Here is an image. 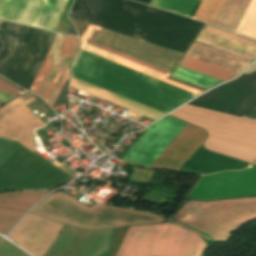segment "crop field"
<instances>
[{
  "instance_id": "obj_1",
  "label": "crop field",
  "mask_w": 256,
  "mask_h": 256,
  "mask_svg": "<svg viewBox=\"0 0 256 256\" xmlns=\"http://www.w3.org/2000/svg\"><path fill=\"white\" fill-rule=\"evenodd\" d=\"M36 98L24 94L0 110V137L15 140L34 150L31 131L45 124L24 105ZM0 138V166L22 145ZM21 147L0 167V190L53 189L62 185L71 175L61 170L35 151Z\"/></svg>"
},
{
  "instance_id": "obj_2",
  "label": "crop field",
  "mask_w": 256,
  "mask_h": 256,
  "mask_svg": "<svg viewBox=\"0 0 256 256\" xmlns=\"http://www.w3.org/2000/svg\"><path fill=\"white\" fill-rule=\"evenodd\" d=\"M71 76L164 113L196 95L81 49Z\"/></svg>"
},
{
  "instance_id": "obj_3",
  "label": "crop field",
  "mask_w": 256,
  "mask_h": 256,
  "mask_svg": "<svg viewBox=\"0 0 256 256\" xmlns=\"http://www.w3.org/2000/svg\"><path fill=\"white\" fill-rule=\"evenodd\" d=\"M129 227L114 230L115 256ZM205 242L196 233L171 222L130 227L116 256H199Z\"/></svg>"
},
{
  "instance_id": "obj_4",
  "label": "crop field",
  "mask_w": 256,
  "mask_h": 256,
  "mask_svg": "<svg viewBox=\"0 0 256 256\" xmlns=\"http://www.w3.org/2000/svg\"><path fill=\"white\" fill-rule=\"evenodd\" d=\"M56 33L3 21L0 75L29 90Z\"/></svg>"
},
{
  "instance_id": "obj_5",
  "label": "crop field",
  "mask_w": 256,
  "mask_h": 256,
  "mask_svg": "<svg viewBox=\"0 0 256 256\" xmlns=\"http://www.w3.org/2000/svg\"><path fill=\"white\" fill-rule=\"evenodd\" d=\"M32 212L88 230L166 221L154 214L101 204L87 208L59 191L36 206Z\"/></svg>"
},
{
  "instance_id": "obj_6",
  "label": "crop field",
  "mask_w": 256,
  "mask_h": 256,
  "mask_svg": "<svg viewBox=\"0 0 256 256\" xmlns=\"http://www.w3.org/2000/svg\"><path fill=\"white\" fill-rule=\"evenodd\" d=\"M255 218L256 198L188 201L173 216V219L219 240L228 239L237 227Z\"/></svg>"
},
{
  "instance_id": "obj_7",
  "label": "crop field",
  "mask_w": 256,
  "mask_h": 256,
  "mask_svg": "<svg viewBox=\"0 0 256 256\" xmlns=\"http://www.w3.org/2000/svg\"><path fill=\"white\" fill-rule=\"evenodd\" d=\"M36 0H0V18L25 24ZM68 0H37L26 24L54 31ZM69 0L55 31L66 32Z\"/></svg>"
},
{
  "instance_id": "obj_8",
  "label": "crop field",
  "mask_w": 256,
  "mask_h": 256,
  "mask_svg": "<svg viewBox=\"0 0 256 256\" xmlns=\"http://www.w3.org/2000/svg\"><path fill=\"white\" fill-rule=\"evenodd\" d=\"M62 34H56L52 45L47 53V56L42 64L45 76V79H49L55 76H59L62 74H65L67 72V74L59 76V77H55L49 80H45L42 79L44 73L42 70V67L30 89V92H32L33 94L41 97L43 100H45L51 107L54 104L60 90L61 87L68 75V70H69V66L70 63L72 61L73 55L75 53V50L78 46V41L77 38L74 37H69V36H64ZM63 38V40H62ZM62 40V42H61ZM61 42V44H60ZM60 44V46H59ZM59 46V48H58ZM58 48V51L56 53V50ZM56 53V55H55ZM55 55V57H54ZM54 57V59H53ZM53 59V61H52ZM52 61V63H51ZM51 63V65H50ZM56 67V68H60V69H64L66 70H59V69H55V68H51L49 67Z\"/></svg>"
},
{
  "instance_id": "obj_9",
  "label": "crop field",
  "mask_w": 256,
  "mask_h": 256,
  "mask_svg": "<svg viewBox=\"0 0 256 256\" xmlns=\"http://www.w3.org/2000/svg\"><path fill=\"white\" fill-rule=\"evenodd\" d=\"M245 195H256V168L251 166L241 172L203 176L188 197L217 199Z\"/></svg>"
},
{
  "instance_id": "obj_10",
  "label": "crop field",
  "mask_w": 256,
  "mask_h": 256,
  "mask_svg": "<svg viewBox=\"0 0 256 256\" xmlns=\"http://www.w3.org/2000/svg\"><path fill=\"white\" fill-rule=\"evenodd\" d=\"M185 125L170 116L158 121L137 140L122 161L150 167Z\"/></svg>"
},
{
  "instance_id": "obj_11",
  "label": "crop field",
  "mask_w": 256,
  "mask_h": 256,
  "mask_svg": "<svg viewBox=\"0 0 256 256\" xmlns=\"http://www.w3.org/2000/svg\"><path fill=\"white\" fill-rule=\"evenodd\" d=\"M108 30V29H107ZM102 29L96 41L111 45L145 62L171 71L179 62L183 53L143 42L121 34Z\"/></svg>"
},
{
  "instance_id": "obj_12",
  "label": "crop field",
  "mask_w": 256,
  "mask_h": 256,
  "mask_svg": "<svg viewBox=\"0 0 256 256\" xmlns=\"http://www.w3.org/2000/svg\"><path fill=\"white\" fill-rule=\"evenodd\" d=\"M62 227L63 224L29 214L12 231L9 238L33 256H44Z\"/></svg>"
},
{
  "instance_id": "obj_13",
  "label": "crop field",
  "mask_w": 256,
  "mask_h": 256,
  "mask_svg": "<svg viewBox=\"0 0 256 256\" xmlns=\"http://www.w3.org/2000/svg\"><path fill=\"white\" fill-rule=\"evenodd\" d=\"M100 31H101V28L89 24L82 38L80 37L81 38L80 48L88 52L94 53L96 55H99L101 57H104L106 59L117 62L119 64H122L124 66L135 69L137 71H140L142 73H145L147 75L153 76L165 82L171 83L183 89L189 90L196 94H199L202 92V91L195 90L191 87L167 80L166 78L168 77L170 72H167L157 67H154L152 65H149L141 60L135 59L127 54H123L106 45L93 42Z\"/></svg>"
},
{
  "instance_id": "obj_14",
  "label": "crop field",
  "mask_w": 256,
  "mask_h": 256,
  "mask_svg": "<svg viewBox=\"0 0 256 256\" xmlns=\"http://www.w3.org/2000/svg\"><path fill=\"white\" fill-rule=\"evenodd\" d=\"M206 133L187 124L151 167L178 170L205 138Z\"/></svg>"
},
{
  "instance_id": "obj_15",
  "label": "crop field",
  "mask_w": 256,
  "mask_h": 256,
  "mask_svg": "<svg viewBox=\"0 0 256 256\" xmlns=\"http://www.w3.org/2000/svg\"><path fill=\"white\" fill-rule=\"evenodd\" d=\"M198 1L199 0H152L150 6L190 17ZM203 1L204 0L199 1L191 18L194 19ZM223 2L224 0H205L195 19L212 24Z\"/></svg>"
},
{
  "instance_id": "obj_16",
  "label": "crop field",
  "mask_w": 256,
  "mask_h": 256,
  "mask_svg": "<svg viewBox=\"0 0 256 256\" xmlns=\"http://www.w3.org/2000/svg\"><path fill=\"white\" fill-rule=\"evenodd\" d=\"M186 56L239 73L250 61L193 42Z\"/></svg>"
},
{
  "instance_id": "obj_17",
  "label": "crop field",
  "mask_w": 256,
  "mask_h": 256,
  "mask_svg": "<svg viewBox=\"0 0 256 256\" xmlns=\"http://www.w3.org/2000/svg\"><path fill=\"white\" fill-rule=\"evenodd\" d=\"M195 42L252 61L256 58V48L202 30Z\"/></svg>"
},
{
  "instance_id": "obj_18",
  "label": "crop field",
  "mask_w": 256,
  "mask_h": 256,
  "mask_svg": "<svg viewBox=\"0 0 256 256\" xmlns=\"http://www.w3.org/2000/svg\"><path fill=\"white\" fill-rule=\"evenodd\" d=\"M251 0H225L213 25L235 32Z\"/></svg>"
},
{
  "instance_id": "obj_19",
  "label": "crop field",
  "mask_w": 256,
  "mask_h": 256,
  "mask_svg": "<svg viewBox=\"0 0 256 256\" xmlns=\"http://www.w3.org/2000/svg\"><path fill=\"white\" fill-rule=\"evenodd\" d=\"M48 192H10L0 194V206L27 211Z\"/></svg>"
},
{
  "instance_id": "obj_20",
  "label": "crop field",
  "mask_w": 256,
  "mask_h": 256,
  "mask_svg": "<svg viewBox=\"0 0 256 256\" xmlns=\"http://www.w3.org/2000/svg\"><path fill=\"white\" fill-rule=\"evenodd\" d=\"M179 66L225 81L237 75V73L184 56Z\"/></svg>"
},
{
  "instance_id": "obj_21",
  "label": "crop field",
  "mask_w": 256,
  "mask_h": 256,
  "mask_svg": "<svg viewBox=\"0 0 256 256\" xmlns=\"http://www.w3.org/2000/svg\"><path fill=\"white\" fill-rule=\"evenodd\" d=\"M171 77L189 82L191 84H194L206 89H209L215 86L216 84L222 82L179 66H177V68L174 70Z\"/></svg>"
},
{
  "instance_id": "obj_22",
  "label": "crop field",
  "mask_w": 256,
  "mask_h": 256,
  "mask_svg": "<svg viewBox=\"0 0 256 256\" xmlns=\"http://www.w3.org/2000/svg\"><path fill=\"white\" fill-rule=\"evenodd\" d=\"M236 33L256 39V0H252Z\"/></svg>"
},
{
  "instance_id": "obj_23",
  "label": "crop field",
  "mask_w": 256,
  "mask_h": 256,
  "mask_svg": "<svg viewBox=\"0 0 256 256\" xmlns=\"http://www.w3.org/2000/svg\"><path fill=\"white\" fill-rule=\"evenodd\" d=\"M25 212L0 208V232H8Z\"/></svg>"
},
{
  "instance_id": "obj_24",
  "label": "crop field",
  "mask_w": 256,
  "mask_h": 256,
  "mask_svg": "<svg viewBox=\"0 0 256 256\" xmlns=\"http://www.w3.org/2000/svg\"><path fill=\"white\" fill-rule=\"evenodd\" d=\"M205 27H207V28H204V30H207V31H210V32H213V33H216V34H219V35L234 39L236 41L256 47V42H254L252 40H249L244 37H241V36L226 32V31H222V30H219V29L207 26V25H205Z\"/></svg>"
},
{
  "instance_id": "obj_25",
  "label": "crop field",
  "mask_w": 256,
  "mask_h": 256,
  "mask_svg": "<svg viewBox=\"0 0 256 256\" xmlns=\"http://www.w3.org/2000/svg\"><path fill=\"white\" fill-rule=\"evenodd\" d=\"M0 91L6 93L8 95H11L13 97L20 94L19 92H21L20 90H18L17 88L13 87L10 84H8L7 82H5L2 79H0Z\"/></svg>"
},
{
  "instance_id": "obj_26",
  "label": "crop field",
  "mask_w": 256,
  "mask_h": 256,
  "mask_svg": "<svg viewBox=\"0 0 256 256\" xmlns=\"http://www.w3.org/2000/svg\"><path fill=\"white\" fill-rule=\"evenodd\" d=\"M169 80H172V81H175V82H179V83H182V84H185V85H188V86H191L195 89H198V90H202V91H205L206 89H203V88H200V87H197V86H194V85H191V84H188L186 82H183V81H180V80H177V79H174V78H171L169 77Z\"/></svg>"
},
{
  "instance_id": "obj_27",
  "label": "crop field",
  "mask_w": 256,
  "mask_h": 256,
  "mask_svg": "<svg viewBox=\"0 0 256 256\" xmlns=\"http://www.w3.org/2000/svg\"><path fill=\"white\" fill-rule=\"evenodd\" d=\"M0 96L6 97V98H8V99H11V98H12V97H10V96H8V95H6V94H4V93H1V92H0Z\"/></svg>"
},
{
  "instance_id": "obj_28",
  "label": "crop field",
  "mask_w": 256,
  "mask_h": 256,
  "mask_svg": "<svg viewBox=\"0 0 256 256\" xmlns=\"http://www.w3.org/2000/svg\"><path fill=\"white\" fill-rule=\"evenodd\" d=\"M254 164H256V162Z\"/></svg>"
},
{
  "instance_id": "obj_29",
  "label": "crop field",
  "mask_w": 256,
  "mask_h": 256,
  "mask_svg": "<svg viewBox=\"0 0 256 256\" xmlns=\"http://www.w3.org/2000/svg\"><path fill=\"white\" fill-rule=\"evenodd\" d=\"M109 256V255H108Z\"/></svg>"
}]
</instances>
